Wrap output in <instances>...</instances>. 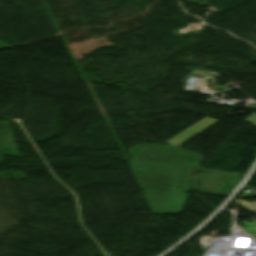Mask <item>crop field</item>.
I'll return each instance as SVG.
<instances>
[{"mask_svg":"<svg viewBox=\"0 0 256 256\" xmlns=\"http://www.w3.org/2000/svg\"><path fill=\"white\" fill-rule=\"evenodd\" d=\"M256 215V213H254Z\"/></svg>","mask_w":256,"mask_h":256,"instance_id":"obj_9","label":"crop field"},{"mask_svg":"<svg viewBox=\"0 0 256 256\" xmlns=\"http://www.w3.org/2000/svg\"><path fill=\"white\" fill-rule=\"evenodd\" d=\"M239 206H241L242 208H244V209H246V210H248V211H250V212L256 210L255 207H253V206H251V205H249V204H247V203H244V202H242V201L239 202Z\"/></svg>","mask_w":256,"mask_h":256,"instance_id":"obj_5","label":"crop field"},{"mask_svg":"<svg viewBox=\"0 0 256 256\" xmlns=\"http://www.w3.org/2000/svg\"><path fill=\"white\" fill-rule=\"evenodd\" d=\"M242 224L245 227L244 230H246L250 233L256 232V221L255 222H245Z\"/></svg>","mask_w":256,"mask_h":256,"instance_id":"obj_4","label":"crop field"},{"mask_svg":"<svg viewBox=\"0 0 256 256\" xmlns=\"http://www.w3.org/2000/svg\"><path fill=\"white\" fill-rule=\"evenodd\" d=\"M153 214H180L190 190L189 168L129 162ZM171 187L174 190H171Z\"/></svg>","mask_w":256,"mask_h":256,"instance_id":"obj_1","label":"crop field"},{"mask_svg":"<svg viewBox=\"0 0 256 256\" xmlns=\"http://www.w3.org/2000/svg\"><path fill=\"white\" fill-rule=\"evenodd\" d=\"M252 235H254L256 237V233H253Z\"/></svg>","mask_w":256,"mask_h":256,"instance_id":"obj_7","label":"crop field"},{"mask_svg":"<svg viewBox=\"0 0 256 256\" xmlns=\"http://www.w3.org/2000/svg\"><path fill=\"white\" fill-rule=\"evenodd\" d=\"M131 160L167 163L191 167H200L203 160L201 154L180 149L173 146H159L154 144L136 145L129 148Z\"/></svg>","mask_w":256,"mask_h":256,"instance_id":"obj_2","label":"crop field"},{"mask_svg":"<svg viewBox=\"0 0 256 256\" xmlns=\"http://www.w3.org/2000/svg\"><path fill=\"white\" fill-rule=\"evenodd\" d=\"M251 204H253V205H255V206H256V202H255V203H251Z\"/></svg>","mask_w":256,"mask_h":256,"instance_id":"obj_8","label":"crop field"},{"mask_svg":"<svg viewBox=\"0 0 256 256\" xmlns=\"http://www.w3.org/2000/svg\"><path fill=\"white\" fill-rule=\"evenodd\" d=\"M246 123L256 126V115L252 114L247 119H245Z\"/></svg>","mask_w":256,"mask_h":256,"instance_id":"obj_6","label":"crop field"},{"mask_svg":"<svg viewBox=\"0 0 256 256\" xmlns=\"http://www.w3.org/2000/svg\"><path fill=\"white\" fill-rule=\"evenodd\" d=\"M219 120H215L212 118H204L203 120L199 121L195 125L191 126L187 130L183 131L179 135L175 136L171 140L167 141L165 144L173 145V146H181L185 142L189 141L199 133L203 132L213 124L217 123Z\"/></svg>","mask_w":256,"mask_h":256,"instance_id":"obj_3","label":"crop field"}]
</instances>
